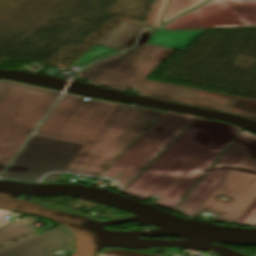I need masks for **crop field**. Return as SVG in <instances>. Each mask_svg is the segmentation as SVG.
I'll list each match as a JSON object with an SVG mask.
<instances>
[{"mask_svg": "<svg viewBox=\"0 0 256 256\" xmlns=\"http://www.w3.org/2000/svg\"><path fill=\"white\" fill-rule=\"evenodd\" d=\"M204 20L203 16L196 9L193 10L179 19L173 21L168 26L164 27L165 29H200L203 28L200 21Z\"/></svg>", "mask_w": 256, "mask_h": 256, "instance_id": "crop-field-15", "label": "crop field"}, {"mask_svg": "<svg viewBox=\"0 0 256 256\" xmlns=\"http://www.w3.org/2000/svg\"><path fill=\"white\" fill-rule=\"evenodd\" d=\"M162 49L163 47L146 44L120 56L106 59L77 77L124 91L128 87H135L140 95L225 111L256 120L255 115L227 108L236 97L144 79L159 64L151 59Z\"/></svg>", "mask_w": 256, "mask_h": 256, "instance_id": "crop-field-3", "label": "crop field"}, {"mask_svg": "<svg viewBox=\"0 0 256 256\" xmlns=\"http://www.w3.org/2000/svg\"><path fill=\"white\" fill-rule=\"evenodd\" d=\"M234 223L248 226H252L256 223V199L247 207V209Z\"/></svg>", "mask_w": 256, "mask_h": 256, "instance_id": "crop-field-17", "label": "crop field"}, {"mask_svg": "<svg viewBox=\"0 0 256 256\" xmlns=\"http://www.w3.org/2000/svg\"><path fill=\"white\" fill-rule=\"evenodd\" d=\"M53 250V249H52ZM41 235L0 253V256H53Z\"/></svg>", "mask_w": 256, "mask_h": 256, "instance_id": "crop-field-10", "label": "crop field"}, {"mask_svg": "<svg viewBox=\"0 0 256 256\" xmlns=\"http://www.w3.org/2000/svg\"><path fill=\"white\" fill-rule=\"evenodd\" d=\"M39 219L40 218H36V217L22 218L12 224H9L1 228L0 229V247L37 230L35 227L31 226L30 224Z\"/></svg>", "mask_w": 256, "mask_h": 256, "instance_id": "crop-field-11", "label": "crop field"}, {"mask_svg": "<svg viewBox=\"0 0 256 256\" xmlns=\"http://www.w3.org/2000/svg\"><path fill=\"white\" fill-rule=\"evenodd\" d=\"M98 256H105L102 252L98 254Z\"/></svg>", "mask_w": 256, "mask_h": 256, "instance_id": "crop-field-28", "label": "crop field"}, {"mask_svg": "<svg viewBox=\"0 0 256 256\" xmlns=\"http://www.w3.org/2000/svg\"><path fill=\"white\" fill-rule=\"evenodd\" d=\"M144 28L147 27L124 21L104 37L98 45L119 51L127 50L135 44L138 34Z\"/></svg>", "mask_w": 256, "mask_h": 256, "instance_id": "crop-field-9", "label": "crop field"}, {"mask_svg": "<svg viewBox=\"0 0 256 256\" xmlns=\"http://www.w3.org/2000/svg\"><path fill=\"white\" fill-rule=\"evenodd\" d=\"M36 235H38V234L35 233V234L30 235V236H28V237H26V238H23V239H21V240H18V241L14 242V243H12V244L6 246V247H3V248L0 249V252L3 251V250L8 249V248H10V247H12V246H14V245H17V244H19V243H21V242H23V241H26V240H28V239H30V238L36 236Z\"/></svg>", "mask_w": 256, "mask_h": 256, "instance_id": "crop-field-27", "label": "crop field"}, {"mask_svg": "<svg viewBox=\"0 0 256 256\" xmlns=\"http://www.w3.org/2000/svg\"><path fill=\"white\" fill-rule=\"evenodd\" d=\"M63 173H51L41 181H59Z\"/></svg>", "mask_w": 256, "mask_h": 256, "instance_id": "crop-field-25", "label": "crop field"}, {"mask_svg": "<svg viewBox=\"0 0 256 256\" xmlns=\"http://www.w3.org/2000/svg\"><path fill=\"white\" fill-rule=\"evenodd\" d=\"M171 51V49L164 48L153 60L161 62Z\"/></svg>", "mask_w": 256, "mask_h": 256, "instance_id": "crop-field-24", "label": "crop field"}, {"mask_svg": "<svg viewBox=\"0 0 256 256\" xmlns=\"http://www.w3.org/2000/svg\"><path fill=\"white\" fill-rule=\"evenodd\" d=\"M154 31H155V29H148V30L143 31L142 34H141V37H140V39H139V42H138L137 46H139V45L145 43L146 40H147L148 38H150V36L152 35V33H153Z\"/></svg>", "mask_w": 256, "mask_h": 256, "instance_id": "crop-field-22", "label": "crop field"}, {"mask_svg": "<svg viewBox=\"0 0 256 256\" xmlns=\"http://www.w3.org/2000/svg\"><path fill=\"white\" fill-rule=\"evenodd\" d=\"M82 147V144L33 136L3 177L35 181L51 171H66Z\"/></svg>", "mask_w": 256, "mask_h": 256, "instance_id": "crop-field-6", "label": "crop field"}, {"mask_svg": "<svg viewBox=\"0 0 256 256\" xmlns=\"http://www.w3.org/2000/svg\"><path fill=\"white\" fill-rule=\"evenodd\" d=\"M204 1L206 0H170L162 19V23L169 21L188 9L196 7Z\"/></svg>", "mask_w": 256, "mask_h": 256, "instance_id": "crop-field-16", "label": "crop field"}, {"mask_svg": "<svg viewBox=\"0 0 256 256\" xmlns=\"http://www.w3.org/2000/svg\"><path fill=\"white\" fill-rule=\"evenodd\" d=\"M65 93L36 136L85 144L65 173L96 178L162 113Z\"/></svg>", "mask_w": 256, "mask_h": 256, "instance_id": "crop-field-1", "label": "crop field"}, {"mask_svg": "<svg viewBox=\"0 0 256 256\" xmlns=\"http://www.w3.org/2000/svg\"><path fill=\"white\" fill-rule=\"evenodd\" d=\"M255 198L256 142L192 217L207 211L217 214L212 221L233 223Z\"/></svg>", "mask_w": 256, "mask_h": 256, "instance_id": "crop-field-5", "label": "crop field"}, {"mask_svg": "<svg viewBox=\"0 0 256 256\" xmlns=\"http://www.w3.org/2000/svg\"><path fill=\"white\" fill-rule=\"evenodd\" d=\"M229 108L256 114V102L237 98Z\"/></svg>", "mask_w": 256, "mask_h": 256, "instance_id": "crop-field-19", "label": "crop field"}, {"mask_svg": "<svg viewBox=\"0 0 256 256\" xmlns=\"http://www.w3.org/2000/svg\"><path fill=\"white\" fill-rule=\"evenodd\" d=\"M61 92L0 79V174Z\"/></svg>", "mask_w": 256, "mask_h": 256, "instance_id": "crop-field-4", "label": "crop field"}, {"mask_svg": "<svg viewBox=\"0 0 256 256\" xmlns=\"http://www.w3.org/2000/svg\"><path fill=\"white\" fill-rule=\"evenodd\" d=\"M233 11L248 27H256V0H217Z\"/></svg>", "mask_w": 256, "mask_h": 256, "instance_id": "crop-field-12", "label": "crop field"}, {"mask_svg": "<svg viewBox=\"0 0 256 256\" xmlns=\"http://www.w3.org/2000/svg\"><path fill=\"white\" fill-rule=\"evenodd\" d=\"M255 141L256 136L241 132L175 211L191 216Z\"/></svg>", "mask_w": 256, "mask_h": 256, "instance_id": "crop-field-8", "label": "crop field"}, {"mask_svg": "<svg viewBox=\"0 0 256 256\" xmlns=\"http://www.w3.org/2000/svg\"><path fill=\"white\" fill-rule=\"evenodd\" d=\"M168 0H160L157 7H156V10L154 12V15L149 23L148 26H151V27H159L161 24H160V19H161V16L163 14V11L165 9V6L167 4Z\"/></svg>", "mask_w": 256, "mask_h": 256, "instance_id": "crop-field-20", "label": "crop field"}, {"mask_svg": "<svg viewBox=\"0 0 256 256\" xmlns=\"http://www.w3.org/2000/svg\"><path fill=\"white\" fill-rule=\"evenodd\" d=\"M204 28L247 27L232 11L202 21Z\"/></svg>", "mask_w": 256, "mask_h": 256, "instance_id": "crop-field-14", "label": "crop field"}, {"mask_svg": "<svg viewBox=\"0 0 256 256\" xmlns=\"http://www.w3.org/2000/svg\"><path fill=\"white\" fill-rule=\"evenodd\" d=\"M198 10L202 13L205 19L227 12V10L224 9L222 5L216 0H213L210 3L203 5L202 7L198 8Z\"/></svg>", "mask_w": 256, "mask_h": 256, "instance_id": "crop-field-18", "label": "crop field"}, {"mask_svg": "<svg viewBox=\"0 0 256 256\" xmlns=\"http://www.w3.org/2000/svg\"><path fill=\"white\" fill-rule=\"evenodd\" d=\"M196 118L192 115L167 111L109 169L138 175Z\"/></svg>", "mask_w": 256, "mask_h": 256, "instance_id": "crop-field-7", "label": "crop field"}, {"mask_svg": "<svg viewBox=\"0 0 256 256\" xmlns=\"http://www.w3.org/2000/svg\"><path fill=\"white\" fill-rule=\"evenodd\" d=\"M103 253L106 256H151V255H146L142 253L122 251V250H116V249H109V250L103 251Z\"/></svg>", "mask_w": 256, "mask_h": 256, "instance_id": "crop-field-21", "label": "crop field"}, {"mask_svg": "<svg viewBox=\"0 0 256 256\" xmlns=\"http://www.w3.org/2000/svg\"><path fill=\"white\" fill-rule=\"evenodd\" d=\"M241 131L233 125L198 118L121 192L174 210L210 165Z\"/></svg>", "mask_w": 256, "mask_h": 256, "instance_id": "crop-field-2", "label": "crop field"}, {"mask_svg": "<svg viewBox=\"0 0 256 256\" xmlns=\"http://www.w3.org/2000/svg\"><path fill=\"white\" fill-rule=\"evenodd\" d=\"M42 236L49 244V246L53 249V251L57 249L74 251L72 247V235L67 229L63 228L62 226L50 230L42 234Z\"/></svg>", "mask_w": 256, "mask_h": 256, "instance_id": "crop-field-13", "label": "crop field"}, {"mask_svg": "<svg viewBox=\"0 0 256 256\" xmlns=\"http://www.w3.org/2000/svg\"><path fill=\"white\" fill-rule=\"evenodd\" d=\"M158 251L165 254L174 255V256H186L184 253H180L181 250L166 249V250H155L154 252H158Z\"/></svg>", "mask_w": 256, "mask_h": 256, "instance_id": "crop-field-23", "label": "crop field"}, {"mask_svg": "<svg viewBox=\"0 0 256 256\" xmlns=\"http://www.w3.org/2000/svg\"><path fill=\"white\" fill-rule=\"evenodd\" d=\"M12 212H9V211H5V210H1L0 209V226L2 225H5L7 223H9L10 221L9 220H5L3 219L4 217L8 216L9 214H11Z\"/></svg>", "mask_w": 256, "mask_h": 256, "instance_id": "crop-field-26", "label": "crop field"}]
</instances>
